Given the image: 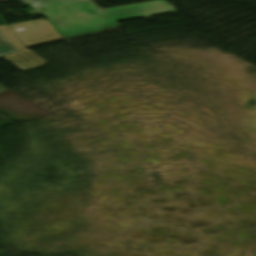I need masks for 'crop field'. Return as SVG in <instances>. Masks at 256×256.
Wrapping results in <instances>:
<instances>
[{
    "mask_svg": "<svg viewBox=\"0 0 256 256\" xmlns=\"http://www.w3.org/2000/svg\"><path fill=\"white\" fill-rule=\"evenodd\" d=\"M62 38L117 26L114 21L175 12L164 0L98 11L90 3L47 1L32 4Z\"/></svg>",
    "mask_w": 256,
    "mask_h": 256,
    "instance_id": "crop-field-1",
    "label": "crop field"
},
{
    "mask_svg": "<svg viewBox=\"0 0 256 256\" xmlns=\"http://www.w3.org/2000/svg\"><path fill=\"white\" fill-rule=\"evenodd\" d=\"M29 47L61 40L48 21L43 18L8 25Z\"/></svg>",
    "mask_w": 256,
    "mask_h": 256,
    "instance_id": "crop-field-2",
    "label": "crop field"
},
{
    "mask_svg": "<svg viewBox=\"0 0 256 256\" xmlns=\"http://www.w3.org/2000/svg\"><path fill=\"white\" fill-rule=\"evenodd\" d=\"M11 31V30H10ZM9 31L6 26L0 27V33L11 43L13 44L16 51L25 49L23 44Z\"/></svg>",
    "mask_w": 256,
    "mask_h": 256,
    "instance_id": "crop-field-3",
    "label": "crop field"
},
{
    "mask_svg": "<svg viewBox=\"0 0 256 256\" xmlns=\"http://www.w3.org/2000/svg\"><path fill=\"white\" fill-rule=\"evenodd\" d=\"M15 52L10 43L0 34V56Z\"/></svg>",
    "mask_w": 256,
    "mask_h": 256,
    "instance_id": "crop-field-4",
    "label": "crop field"
},
{
    "mask_svg": "<svg viewBox=\"0 0 256 256\" xmlns=\"http://www.w3.org/2000/svg\"><path fill=\"white\" fill-rule=\"evenodd\" d=\"M0 89L2 90V91H0V92H3V91L6 90V89H4L2 86H0Z\"/></svg>",
    "mask_w": 256,
    "mask_h": 256,
    "instance_id": "crop-field-5",
    "label": "crop field"
},
{
    "mask_svg": "<svg viewBox=\"0 0 256 256\" xmlns=\"http://www.w3.org/2000/svg\"><path fill=\"white\" fill-rule=\"evenodd\" d=\"M0 2H3V3H5V2H7V0H0Z\"/></svg>",
    "mask_w": 256,
    "mask_h": 256,
    "instance_id": "crop-field-6",
    "label": "crop field"
},
{
    "mask_svg": "<svg viewBox=\"0 0 256 256\" xmlns=\"http://www.w3.org/2000/svg\"><path fill=\"white\" fill-rule=\"evenodd\" d=\"M29 1H36V0H29ZM84 1H89V0H84Z\"/></svg>",
    "mask_w": 256,
    "mask_h": 256,
    "instance_id": "crop-field-7",
    "label": "crop field"
}]
</instances>
